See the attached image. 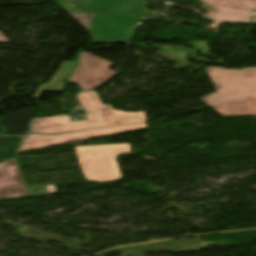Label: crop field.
I'll return each mask as SVG.
<instances>
[{"instance_id": "crop-field-2", "label": "crop field", "mask_w": 256, "mask_h": 256, "mask_svg": "<svg viewBox=\"0 0 256 256\" xmlns=\"http://www.w3.org/2000/svg\"><path fill=\"white\" fill-rule=\"evenodd\" d=\"M78 100L83 107L87 121L70 123L68 116H57L34 120L32 132L54 134L97 128L146 122L144 111L123 112L113 109L111 105L101 103L95 91L79 94Z\"/></svg>"}, {"instance_id": "crop-field-5", "label": "crop field", "mask_w": 256, "mask_h": 256, "mask_svg": "<svg viewBox=\"0 0 256 256\" xmlns=\"http://www.w3.org/2000/svg\"><path fill=\"white\" fill-rule=\"evenodd\" d=\"M141 15L94 14L88 32L93 42H128Z\"/></svg>"}, {"instance_id": "crop-field-7", "label": "crop field", "mask_w": 256, "mask_h": 256, "mask_svg": "<svg viewBox=\"0 0 256 256\" xmlns=\"http://www.w3.org/2000/svg\"><path fill=\"white\" fill-rule=\"evenodd\" d=\"M215 8L207 16L214 20L250 23L249 16L256 15V0H200Z\"/></svg>"}, {"instance_id": "crop-field-9", "label": "crop field", "mask_w": 256, "mask_h": 256, "mask_svg": "<svg viewBox=\"0 0 256 256\" xmlns=\"http://www.w3.org/2000/svg\"><path fill=\"white\" fill-rule=\"evenodd\" d=\"M27 196L14 159L0 164V199Z\"/></svg>"}, {"instance_id": "crop-field-12", "label": "crop field", "mask_w": 256, "mask_h": 256, "mask_svg": "<svg viewBox=\"0 0 256 256\" xmlns=\"http://www.w3.org/2000/svg\"><path fill=\"white\" fill-rule=\"evenodd\" d=\"M0 42H9L4 35L0 33Z\"/></svg>"}, {"instance_id": "crop-field-10", "label": "crop field", "mask_w": 256, "mask_h": 256, "mask_svg": "<svg viewBox=\"0 0 256 256\" xmlns=\"http://www.w3.org/2000/svg\"><path fill=\"white\" fill-rule=\"evenodd\" d=\"M75 62L63 61L61 67L47 84H41L32 99L38 100L43 91L59 93L64 90L65 77L75 66Z\"/></svg>"}, {"instance_id": "crop-field-8", "label": "crop field", "mask_w": 256, "mask_h": 256, "mask_svg": "<svg viewBox=\"0 0 256 256\" xmlns=\"http://www.w3.org/2000/svg\"><path fill=\"white\" fill-rule=\"evenodd\" d=\"M147 4L133 0H78L73 12L143 14Z\"/></svg>"}, {"instance_id": "crop-field-3", "label": "crop field", "mask_w": 256, "mask_h": 256, "mask_svg": "<svg viewBox=\"0 0 256 256\" xmlns=\"http://www.w3.org/2000/svg\"><path fill=\"white\" fill-rule=\"evenodd\" d=\"M74 149L86 181L108 182L123 179L115 156L130 154L129 144L78 146Z\"/></svg>"}, {"instance_id": "crop-field-6", "label": "crop field", "mask_w": 256, "mask_h": 256, "mask_svg": "<svg viewBox=\"0 0 256 256\" xmlns=\"http://www.w3.org/2000/svg\"><path fill=\"white\" fill-rule=\"evenodd\" d=\"M78 58L79 63L67 80L81 86L83 91L91 90L101 85L117 73L109 70L114 65L109 61L84 52L80 53Z\"/></svg>"}, {"instance_id": "crop-field-11", "label": "crop field", "mask_w": 256, "mask_h": 256, "mask_svg": "<svg viewBox=\"0 0 256 256\" xmlns=\"http://www.w3.org/2000/svg\"><path fill=\"white\" fill-rule=\"evenodd\" d=\"M72 18H74L80 25H82L86 31L88 32L91 28L90 21L92 19L93 14H69Z\"/></svg>"}, {"instance_id": "crop-field-13", "label": "crop field", "mask_w": 256, "mask_h": 256, "mask_svg": "<svg viewBox=\"0 0 256 256\" xmlns=\"http://www.w3.org/2000/svg\"><path fill=\"white\" fill-rule=\"evenodd\" d=\"M252 18H253V22L256 23V16H254Z\"/></svg>"}, {"instance_id": "crop-field-1", "label": "crop field", "mask_w": 256, "mask_h": 256, "mask_svg": "<svg viewBox=\"0 0 256 256\" xmlns=\"http://www.w3.org/2000/svg\"><path fill=\"white\" fill-rule=\"evenodd\" d=\"M216 92L202 99L221 115L256 114V68H206Z\"/></svg>"}, {"instance_id": "crop-field-4", "label": "crop field", "mask_w": 256, "mask_h": 256, "mask_svg": "<svg viewBox=\"0 0 256 256\" xmlns=\"http://www.w3.org/2000/svg\"><path fill=\"white\" fill-rule=\"evenodd\" d=\"M147 126L145 123L142 124H131L115 127H105L97 128L87 131L73 132L67 134H58V135H42L37 133H31L30 136L24 138L17 153L74 142L85 139H91L96 137H102L107 135H113L118 133H124L129 131H135L140 129H146Z\"/></svg>"}]
</instances>
